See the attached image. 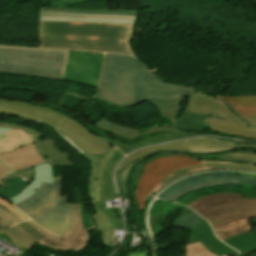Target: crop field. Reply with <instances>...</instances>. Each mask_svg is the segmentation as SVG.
Returning <instances> with one entry per match:
<instances>
[{
	"label": "crop field",
	"mask_w": 256,
	"mask_h": 256,
	"mask_svg": "<svg viewBox=\"0 0 256 256\" xmlns=\"http://www.w3.org/2000/svg\"><path fill=\"white\" fill-rule=\"evenodd\" d=\"M194 91L167 85L144 64L122 54H105L96 98L119 106H134L144 100L180 98Z\"/></svg>",
	"instance_id": "crop-field-1"
},
{
	"label": "crop field",
	"mask_w": 256,
	"mask_h": 256,
	"mask_svg": "<svg viewBox=\"0 0 256 256\" xmlns=\"http://www.w3.org/2000/svg\"><path fill=\"white\" fill-rule=\"evenodd\" d=\"M134 25L47 22L40 24V47L131 54Z\"/></svg>",
	"instance_id": "crop-field-2"
},
{
	"label": "crop field",
	"mask_w": 256,
	"mask_h": 256,
	"mask_svg": "<svg viewBox=\"0 0 256 256\" xmlns=\"http://www.w3.org/2000/svg\"><path fill=\"white\" fill-rule=\"evenodd\" d=\"M92 166L89 179V191L96 213L91 214L92 220L99 231L101 229V242L109 246L113 229H123V219L120 211L112 212L106 209L104 200L117 198L113 182L115 165L124 157L116 148L110 147L102 154H85Z\"/></svg>",
	"instance_id": "crop-field-3"
},
{
	"label": "crop field",
	"mask_w": 256,
	"mask_h": 256,
	"mask_svg": "<svg viewBox=\"0 0 256 256\" xmlns=\"http://www.w3.org/2000/svg\"><path fill=\"white\" fill-rule=\"evenodd\" d=\"M60 113L25 102L0 99V114L11 115L33 122L39 120L40 124L54 129L80 154H98L110 147V144L93 135L87 128Z\"/></svg>",
	"instance_id": "crop-field-4"
},
{
	"label": "crop field",
	"mask_w": 256,
	"mask_h": 256,
	"mask_svg": "<svg viewBox=\"0 0 256 256\" xmlns=\"http://www.w3.org/2000/svg\"><path fill=\"white\" fill-rule=\"evenodd\" d=\"M188 207L207 219L221 240L251 230L247 218L256 217V199H242L240 194L208 195Z\"/></svg>",
	"instance_id": "crop-field-5"
},
{
	"label": "crop field",
	"mask_w": 256,
	"mask_h": 256,
	"mask_svg": "<svg viewBox=\"0 0 256 256\" xmlns=\"http://www.w3.org/2000/svg\"><path fill=\"white\" fill-rule=\"evenodd\" d=\"M68 50L0 45V72L61 80Z\"/></svg>",
	"instance_id": "crop-field-6"
},
{
	"label": "crop field",
	"mask_w": 256,
	"mask_h": 256,
	"mask_svg": "<svg viewBox=\"0 0 256 256\" xmlns=\"http://www.w3.org/2000/svg\"><path fill=\"white\" fill-rule=\"evenodd\" d=\"M207 125L214 131L256 138V131L236 119L226 106L195 92L189 96L185 111L175 126L186 130L205 131Z\"/></svg>",
	"instance_id": "crop-field-7"
},
{
	"label": "crop field",
	"mask_w": 256,
	"mask_h": 256,
	"mask_svg": "<svg viewBox=\"0 0 256 256\" xmlns=\"http://www.w3.org/2000/svg\"><path fill=\"white\" fill-rule=\"evenodd\" d=\"M60 192L61 178H55L53 185L42 183L33 196L15 206L43 229L61 236L74 217L72 204L67 205V196L60 198Z\"/></svg>",
	"instance_id": "crop-field-8"
},
{
	"label": "crop field",
	"mask_w": 256,
	"mask_h": 256,
	"mask_svg": "<svg viewBox=\"0 0 256 256\" xmlns=\"http://www.w3.org/2000/svg\"><path fill=\"white\" fill-rule=\"evenodd\" d=\"M183 98L180 99H165V100H156V101H148L152 105L156 106L158 108V114L159 116L163 117L164 119L170 120L172 123V126L165 125V124H153L151 127L144 131H137L132 129L131 127H121L117 124H114L104 118H100L98 121H96V127L98 129L110 131L111 133L115 135H119L127 140L134 139L142 134H151V133H157V132H169L172 131L169 134H162L159 136L149 137L145 138L143 142L136 143L133 145H123L117 141H112L110 139L102 138L106 140L108 143L112 145H116L123 153L128 154L142 146L159 143V142H167V141H173L178 140L182 138L192 137L199 134H189L181 132L180 129L174 127V120L176 118V115L178 113L179 105L182 102Z\"/></svg>",
	"instance_id": "crop-field-9"
},
{
	"label": "crop field",
	"mask_w": 256,
	"mask_h": 256,
	"mask_svg": "<svg viewBox=\"0 0 256 256\" xmlns=\"http://www.w3.org/2000/svg\"><path fill=\"white\" fill-rule=\"evenodd\" d=\"M202 164L200 160L186 156H170L157 159L143 170L135 191L137 206L143 210L146 195L170 172L181 167Z\"/></svg>",
	"instance_id": "crop-field-10"
},
{
	"label": "crop field",
	"mask_w": 256,
	"mask_h": 256,
	"mask_svg": "<svg viewBox=\"0 0 256 256\" xmlns=\"http://www.w3.org/2000/svg\"><path fill=\"white\" fill-rule=\"evenodd\" d=\"M104 53L70 51L63 79L97 88Z\"/></svg>",
	"instance_id": "crop-field-11"
},
{
	"label": "crop field",
	"mask_w": 256,
	"mask_h": 256,
	"mask_svg": "<svg viewBox=\"0 0 256 256\" xmlns=\"http://www.w3.org/2000/svg\"><path fill=\"white\" fill-rule=\"evenodd\" d=\"M137 11H75L41 8V20L134 24Z\"/></svg>",
	"instance_id": "crop-field-12"
},
{
	"label": "crop field",
	"mask_w": 256,
	"mask_h": 256,
	"mask_svg": "<svg viewBox=\"0 0 256 256\" xmlns=\"http://www.w3.org/2000/svg\"><path fill=\"white\" fill-rule=\"evenodd\" d=\"M242 147H253L256 148V146H240L235 143H228L225 141H219L216 139H210V138H196V139H190L185 141H179L174 142L166 145H161L157 147L152 148H146L141 149L131 155H129L125 160H123L117 170H116V183L118 185L120 197H122L121 190L119 187V181H118V171L129 162L135 161L141 157H144L150 153H153L155 151L159 150H176V151H189V152H195V153H207V152H214L219 150H225V149H231V148H242Z\"/></svg>",
	"instance_id": "crop-field-13"
},
{
	"label": "crop field",
	"mask_w": 256,
	"mask_h": 256,
	"mask_svg": "<svg viewBox=\"0 0 256 256\" xmlns=\"http://www.w3.org/2000/svg\"><path fill=\"white\" fill-rule=\"evenodd\" d=\"M223 159L237 160V161H248V162H250V164H233V163H229V162L202 161L203 165L181 168L179 170H176V171L168 174L164 178V180L149 193L148 197H150L156 190H158L160 187L165 185L170 180H172L176 177H179L183 174L192 172V171L213 169V168H238V169L256 171V156L241 155V154H227V155H224Z\"/></svg>",
	"instance_id": "crop-field-14"
},
{
	"label": "crop field",
	"mask_w": 256,
	"mask_h": 256,
	"mask_svg": "<svg viewBox=\"0 0 256 256\" xmlns=\"http://www.w3.org/2000/svg\"><path fill=\"white\" fill-rule=\"evenodd\" d=\"M215 179H239L240 184L244 185H256V178L243 176V175H231V172H210L202 173L190 176L185 179H181L174 184L170 185L158 196L167 200L170 196L174 195L177 191L190 186L192 184L205 182Z\"/></svg>",
	"instance_id": "crop-field-15"
},
{
	"label": "crop field",
	"mask_w": 256,
	"mask_h": 256,
	"mask_svg": "<svg viewBox=\"0 0 256 256\" xmlns=\"http://www.w3.org/2000/svg\"><path fill=\"white\" fill-rule=\"evenodd\" d=\"M0 161L8 166L12 172L45 163L35 150L34 143L7 153H1Z\"/></svg>",
	"instance_id": "crop-field-16"
},
{
	"label": "crop field",
	"mask_w": 256,
	"mask_h": 256,
	"mask_svg": "<svg viewBox=\"0 0 256 256\" xmlns=\"http://www.w3.org/2000/svg\"><path fill=\"white\" fill-rule=\"evenodd\" d=\"M188 244L200 242L204 247L217 256L238 253L222 243L213 233L210 225L206 220L201 222L191 232Z\"/></svg>",
	"instance_id": "crop-field-17"
},
{
	"label": "crop field",
	"mask_w": 256,
	"mask_h": 256,
	"mask_svg": "<svg viewBox=\"0 0 256 256\" xmlns=\"http://www.w3.org/2000/svg\"><path fill=\"white\" fill-rule=\"evenodd\" d=\"M35 147L39 155L53 167L76 165L60 146L45 136L35 141Z\"/></svg>",
	"instance_id": "crop-field-18"
},
{
	"label": "crop field",
	"mask_w": 256,
	"mask_h": 256,
	"mask_svg": "<svg viewBox=\"0 0 256 256\" xmlns=\"http://www.w3.org/2000/svg\"><path fill=\"white\" fill-rule=\"evenodd\" d=\"M36 175L33 177L27 188L19 195L11 198L13 204L20 202L32 194H34L42 182L50 183L53 182V167L47 163L34 167Z\"/></svg>",
	"instance_id": "crop-field-19"
},
{
	"label": "crop field",
	"mask_w": 256,
	"mask_h": 256,
	"mask_svg": "<svg viewBox=\"0 0 256 256\" xmlns=\"http://www.w3.org/2000/svg\"><path fill=\"white\" fill-rule=\"evenodd\" d=\"M226 103L239 117L256 114V96L254 97H214ZM225 104V105H226Z\"/></svg>",
	"instance_id": "crop-field-20"
},
{
	"label": "crop field",
	"mask_w": 256,
	"mask_h": 256,
	"mask_svg": "<svg viewBox=\"0 0 256 256\" xmlns=\"http://www.w3.org/2000/svg\"><path fill=\"white\" fill-rule=\"evenodd\" d=\"M33 142L34 141L32 139H30L26 134L19 130L1 134L0 153L7 152L11 149H15Z\"/></svg>",
	"instance_id": "crop-field-21"
},
{
	"label": "crop field",
	"mask_w": 256,
	"mask_h": 256,
	"mask_svg": "<svg viewBox=\"0 0 256 256\" xmlns=\"http://www.w3.org/2000/svg\"><path fill=\"white\" fill-rule=\"evenodd\" d=\"M227 153H242V154H254L256 155L255 152L252 151H233V152H227ZM227 153H222V154H218V155H200V156H192V155H187V154H176V153H163V154H159L157 156L151 157L148 160H146L145 162L141 163L139 166H137L134 170V173L132 175V183H133V188L135 189L139 178L142 174V169L151 161H153L154 159L160 158V157H164V156H170V155H187L193 158H215V159H222L223 154H227Z\"/></svg>",
	"instance_id": "crop-field-22"
},
{
	"label": "crop field",
	"mask_w": 256,
	"mask_h": 256,
	"mask_svg": "<svg viewBox=\"0 0 256 256\" xmlns=\"http://www.w3.org/2000/svg\"><path fill=\"white\" fill-rule=\"evenodd\" d=\"M224 242L241 253L246 254L256 249V233L247 232Z\"/></svg>",
	"instance_id": "crop-field-23"
},
{
	"label": "crop field",
	"mask_w": 256,
	"mask_h": 256,
	"mask_svg": "<svg viewBox=\"0 0 256 256\" xmlns=\"http://www.w3.org/2000/svg\"><path fill=\"white\" fill-rule=\"evenodd\" d=\"M3 234L12 244H15L18 247L24 248L26 250L38 243L15 226L7 228L3 231Z\"/></svg>",
	"instance_id": "crop-field-24"
},
{
	"label": "crop field",
	"mask_w": 256,
	"mask_h": 256,
	"mask_svg": "<svg viewBox=\"0 0 256 256\" xmlns=\"http://www.w3.org/2000/svg\"><path fill=\"white\" fill-rule=\"evenodd\" d=\"M197 215L191 209L187 210L179 218V220L176 224V227L184 228V229L192 231V229L196 225H198L201 221L204 220V219H202L201 217H199Z\"/></svg>",
	"instance_id": "crop-field-25"
},
{
	"label": "crop field",
	"mask_w": 256,
	"mask_h": 256,
	"mask_svg": "<svg viewBox=\"0 0 256 256\" xmlns=\"http://www.w3.org/2000/svg\"><path fill=\"white\" fill-rule=\"evenodd\" d=\"M218 184H236L239 185L238 180H216V181H209V182H205V183H200V184H196V185H192L184 190H181L179 192H177L174 196L170 197L168 200L169 201H175L176 199H178L181 195L193 190V189H197V188H202V187H206V186H212V185H218Z\"/></svg>",
	"instance_id": "crop-field-26"
},
{
	"label": "crop field",
	"mask_w": 256,
	"mask_h": 256,
	"mask_svg": "<svg viewBox=\"0 0 256 256\" xmlns=\"http://www.w3.org/2000/svg\"><path fill=\"white\" fill-rule=\"evenodd\" d=\"M9 188L5 189L4 186L0 187V195L11 198L16 194L21 193L27 186L21 179L17 178L13 181L8 182Z\"/></svg>",
	"instance_id": "crop-field-27"
},
{
	"label": "crop field",
	"mask_w": 256,
	"mask_h": 256,
	"mask_svg": "<svg viewBox=\"0 0 256 256\" xmlns=\"http://www.w3.org/2000/svg\"><path fill=\"white\" fill-rule=\"evenodd\" d=\"M186 256H215L206 248H204L200 243L186 245Z\"/></svg>",
	"instance_id": "crop-field-28"
},
{
	"label": "crop field",
	"mask_w": 256,
	"mask_h": 256,
	"mask_svg": "<svg viewBox=\"0 0 256 256\" xmlns=\"http://www.w3.org/2000/svg\"><path fill=\"white\" fill-rule=\"evenodd\" d=\"M0 206L6 211L10 212L13 216H15L20 222L28 219L24 214L18 211L12 204H10L7 200L0 197Z\"/></svg>",
	"instance_id": "crop-field-29"
},
{
	"label": "crop field",
	"mask_w": 256,
	"mask_h": 256,
	"mask_svg": "<svg viewBox=\"0 0 256 256\" xmlns=\"http://www.w3.org/2000/svg\"><path fill=\"white\" fill-rule=\"evenodd\" d=\"M0 126L2 127H8V128H14V129H19L22 130L24 133H26L30 138H32L34 141L44 135L30 129L27 127H22V126H17V125H13L10 123H6V122H0Z\"/></svg>",
	"instance_id": "crop-field-30"
},
{
	"label": "crop field",
	"mask_w": 256,
	"mask_h": 256,
	"mask_svg": "<svg viewBox=\"0 0 256 256\" xmlns=\"http://www.w3.org/2000/svg\"><path fill=\"white\" fill-rule=\"evenodd\" d=\"M149 156H151V155H149ZM149 156H147V157H149ZM147 157H144V158H142L140 160H137V161H135V162L125 166L123 168V170L120 172L119 178H120V181H121V187H122V191H123V195H124L125 199L127 198L126 191H125V182H126V178H127L128 172L132 169L134 164H136L137 162H139V161H141V160H143V159H145Z\"/></svg>",
	"instance_id": "crop-field-31"
},
{
	"label": "crop field",
	"mask_w": 256,
	"mask_h": 256,
	"mask_svg": "<svg viewBox=\"0 0 256 256\" xmlns=\"http://www.w3.org/2000/svg\"><path fill=\"white\" fill-rule=\"evenodd\" d=\"M26 223H28V224H29L30 226H32L34 229H36L37 231H39L40 233H42V234H44V235H46V236L50 235V236H54V237H57V238H61V237H59V236H56V235H53V234H50V233L44 231L42 228H40L38 225H36V224H35L34 222H32L31 220L26 221ZM61 239H63V238H61Z\"/></svg>",
	"instance_id": "crop-field-32"
},
{
	"label": "crop field",
	"mask_w": 256,
	"mask_h": 256,
	"mask_svg": "<svg viewBox=\"0 0 256 256\" xmlns=\"http://www.w3.org/2000/svg\"><path fill=\"white\" fill-rule=\"evenodd\" d=\"M13 225V223L0 213V227L2 229Z\"/></svg>",
	"instance_id": "crop-field-33"
},
{
	"label": "crop field",
	"mask_w": 256,
	"mask_h": 256,
	"mask_svg": "<svg viewBox=\"0 0 256 256\" xmlns=\"http://www.w3.org/2000/svg\"><path fill=\"white\" fill-rule=\"evenodd\" d=\"M241 119H243L248 125L256 129V115L242 117Z\"/></svg>",
	"instance_id": "crop-field-34"
},
{
	"label": "crop field",
	"mask_w": 256,
	"mask_h": 256,
	"mask_svg": "<svg viewBox=\"0 0 256 256\" xmlns=\"http://www.w3.org/2000/svg\"><path fill=\"white\" fill-rule=\"evenodd\" d=\"M9 174V169L5 168L1 163H0V186H1V180Z\"/></svg>",
	"instance_id": "crop-field-35"
},
{
	"label": "crop field",
	"mask_w": 256,
	"mask_h": 256,
	"mask_svg": "<svg viewBox=\"0 0 256 256\" xmlns=\"http://www.w3.org/2000/svg\"><path fill=\"white\" fill-rule=\"evenodd\" d=\"M0 212L4 216L8 217L14 224L19 223V221L15 217H13L10 213H8L5 210H3L1 207H0Z\"/></svg>",
	"instance_id": "crop-field-36"
},
{
	"label": "crop field",
	"mask_w": 256,
	"mask_h": 256,
	"mask_svg": "<svg viewBox=\"0 0 256 256\" xmlns=\"http://www.w3.org/2000/svg\"><path fill=\"white\" fill-rule=\"evenodd\" d=\"M232 174H243V175H249V176L256 177V175L245 174V173H237V172H232ZM242 186H244V185H242ZM244 187H254V188H256V186H244Z\"/></svg>",
	"instance_id": "crop-field-37"
},
{
	"label": "crop field",
	"mask_w": 256,
	"mask_h": 256,
	"mask_svg": "<svg viewBox=\"0 0 256 256\" xmlns=\"http://www.w3.org/2000/svg\"><path fill=\"white\" fill-rule=\"evenodd\" d=\"M13 129H7V128H1L0 127V134L1 133H5V132H9V131H12Z\"/></svg>",
	"instance_id": "crop-field-38"
},
{
	"label": "crop field",
	"mask_w": 256,
	"mask_h": 256,
	"mask_svg": "<svg viewBox=\"0 0 256 256\" xmlns=\"http://www.w3.org/2000/svg\"><path fill=\"white\" fill-rule=\"evenodd\" d=\"M14 1L19 2V1H26V0H14Z\"/></svg>",
	"instance_id": "crop-field-39"
}]
</instances>
